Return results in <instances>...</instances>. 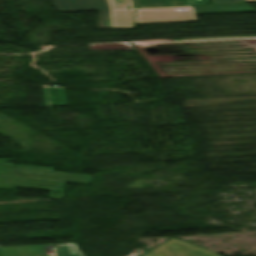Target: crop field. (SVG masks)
<instances>
[{
  "label": "crop field",
  "mask_w": 256,
  "mask_h": 256,
  "mask_svg": "<svg viewBox=\"0 0 256 256\" xmlns=\"http://www.w3.org/2000/svg\"><path fill=\"white\" fill-rule=\"evenodd\" d=\"M193 5L209 4L208 0H191ZM214 4L238 3L243 0H212ZM245 2H256L246 0ZM59 12L100 11L98 28H112L106 0H55ZM198 21L192 6L137 8V24Z\"/></svg>",
  "instance_id": "obj_1"
},
{
  "label": "crop field",
  "mask_w": 256,
  "mask_h": 256,
  "mask_svg": "<svg viewBox=\"0 0 256 256\" xmlns=\"http://www.w3.org/2000/svg\"><path fill=\"white\" fill-rule=\"evenodd\" d=\"M12 159H0V189L15 188Z\"/></svg>",
  "instance_id": "obj_5"
},
{
  "label": "crop field",
  "mask_w": 256,
  "mask_h": 256,
  "mask_svg": "<svg viewBox=\"0 0 256 256\" xmlns=\"http://www.w3.org/2000/svg\"><path fill=\"white\" fill-rule=\"evenodd\" d=\"M197 15L256 11L246 3L193 6Z\"/></svg>",
  "instance_id": "obj_4"
},
{
  "label": "crop field",
  "mask_w": 256,
  "mask_h": 256,
  "mask_svg": "<svg viewBox=\"0 0 256 256\" xmlns=\"http://www.w3.org/2000/svg\"><path fill=\"white\" fill-rule=\"evenodd\" d=\"M55 256H83L76 243L56 245ZM0 256H47L41 246L0 248Z\"/></svg>",
  "instance_id": "obj_3"
},
{
  "label": "crop field",
  "mask_w": 256,
  "mask_h": 256,
  "mask_svg": "<svg viewBox=\"0 0 256 256\" xmlns=\"http://www.w3.org/2000/svg\"><path fill=\"white\" fill-rule=\"evenodd\" d=\"M151 252H152V250H151L147 255H145V256H150V255H151Z\"/></svg>",
  "instance_id": "obj_6"
},
{
  "label": "crop field",
  "mask_w": 256,
  "mask_h": 256,
  "mask_svg": "<svg viewBox=\"0 0 256 256\" xmlns=\"http://www.w3.org/2000/svg\"><path fill=\"white\" fill-rule=\"evenodd\" d=\"M151 256H218L207 250L198 248L186 241L171 239L155 249Z\"/></svg>",
  "instance_id": "obj_2"
}]
</instances>
